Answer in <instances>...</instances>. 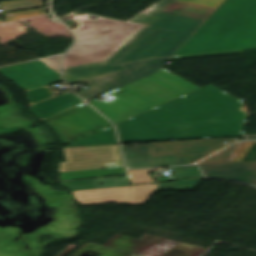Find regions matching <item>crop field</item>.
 <instances>
[{
  "instance_id": "28ad6ade",
  "label": "crop field",
  "mask_w": 256,
  "mask_h": 256,
  "mask_svg": "<svg viewBox=\"0 0 256 256\" xmlns=\"http://www.w3.org/2000/svg\"><path fill=\"white\" fill-rule=\"evenodd\" d=\"M157 185L108 188L73 192L82 205L122 203L145 204Z\"/></svg>"
},
{
  "instance_id": "ac0d7876",
  "label": "crop field",
  "mask_w": 256,
  "mask_h": 256,
  "mask_svg": "<svg viewBox=\"0 0 256 256\" xmlns=\"http://www.w3.org/2000/svg\"><path fill=\"white\" fill-rule=\"evenodd\" d=\"M251 48H256V0H226L174 54Z\"/></svg>"
},
{
  "instance_id": "730fd06b",
  "label": "crop field",
  "mask_w": 256,
  "mask_h": 256,
  "mask_svg": "<svg viewBox=\"0 0 256 256\" xmlns=\"http://www.w3.org/2000/svg\"><path fill=\"white\" fill-rule=\"evenodd\" d=\"M254 143H256V142H243V143H240L239 147L236 150L239 161H241V159L245 156V153L251 148V146Z\"/></svg>"
},
{
  "instance_id": "ae1a2a85",
  "label": "crop field",
  "mask_w": 256,
  "mask_h": 256,
  "mask_svg": "<svg viewBox=\"0 0 256 256\" xmlns=\"http://www.w3.org/2000/svg\"><path fill=\"white\" fill-rule=\"evenodd\" d=\"M199 177H202L198 167L196 166L195 169L191 172V174L188 176L187 179H190V178H199Z\"/></svg>"
},
{
  "instance_id": "a9b5d70f",
  "label": "crop field",
  "mask_w": 256,
  "mask_h": 256,
  "mask_svg": "<svg viewBox=\"0 0 256 256\" xmlns=\"http://www.w3.org/2000/svg\"><path fill=\"white\" fill-rule=\"evenodd\" d=\"M42 14H45V9L36 10V11H27V12L5 14L4 19H5L6 22H8V21H13V20L33 17V16H37V15H42Z\"/></svg>"
},
{
  "instance_id": "5a996713",
  "label": "crop field",
  "mask_w": 256,
  "mask_h": 256,
  "mask_svg": "<svg viewBox=\"0 0 256 256\" xmlns=\"http://www.w3.org/2000/svg\"><path fill=\"white\" fill-rule=\"evenodd\" d=\"M167 59L168 58H161L124 64L123 66L126 70L116 72V74L113 76L106 77L107 75H105L102 77L83 81L88 83L90 88L84 92L78 93V95L86 101L95 98L129 82H132L142 76L156 72Z\"/></svg>"
},
{
  "instance_id": "d1516ede",
  "label": "crop field",
  "mask_w": 256,
  "mask_h": 256,
  "mask_svg": "<svg viewBox=\"0 0 256 256\" xmlns=\"http://www.w3.org/2000/svg\"><path fill=\"white\" fill-rule=\"evenodd\" d=\"M0 73L26 91L62 81L59 73L51 70L43 61L0 68Z\"/></svg>"
},
{
  "instance_id": "412701ff",
  "label": "crop field",
  "mask_w": 256,
  "mask_h": 256,
  "mask_svg": "<svg viewBox=\"0 0 256 256\" xmlns=\"http://www.w3.org/2000/svg\"><path fill=\"white\" fill-rule=\"evenodd\" d=\"M198 89L161 68L152 76L106 94L116 100L110 103L95 100L90 104L117 124Z\"/></svg>"
},
{
  "instance_id": "3316defc",
  "label": "crop field",
  "mask_w": 256,
  "mask_h": 256,
  "mask_svg": "<svg viewBox=\"0 0 256 256\" xmlns=\"http://www.w3.org/2000/svg\"><path fill=\"white\" fill-rule=\"evenodd\" d=\"M228 141V144H224ZM235 142L228 139H206L149 143L152 156L176 154L179 164L197 162Z\"/></svg>"
},
{
  "instance_id": "5142ce71",
  "label": "crop field",
  "mask_w": 256,
  "mask_h": 256,
  "mask_svg": "<svg viewBox=\"0 0 256 256\" xmlns=\"http://www.w3.org/2000/svg\"><path fill=\"white\" fill-rule=\"evenodd\" d=\"M163 11L206 20L214 10L173 1L170 5L165 7Z\"/></svg>"
},
{
  "instance_id": "733c2abd",
  "label": "crop field",
  "mask_w": 256,
  "mask_h": 256,
  "mask_svg": "<svg viewBox=\"0 0 256 256\" xmlns=\"http://www.w3.org/2000/svg\"><path fill=\"white\" fill-rule=\"evenodd\" d=\"M117 143L112 126L65 147Z\"/></svg>"
},
{
  "instance_id": "dd49c442",
  "label": "crop field",
  "mask_w": 256,
  "mask_h": 256,
  "mask_svg": "<svg viewBox=\"0 0 256 256\" xmlns=\"http://www.w3.org/2000/svg\"><path fill=\"white\" fill-rule=\"evenodd\" d=\"M43 122L57 131L63 145L111 126L87 104L64 111Z\"/></svg>"
},
{
  "instance_id": "d3111659",
  "label": "crop field",
  "mask_w": 256,
  "mask_h": 256,
  "mask_svg": "<svg viewBox=\"0 0 256 256\" xmlns=\"http://www.w3.org/2000/svg\"><path fill=\"white\" fill-rule=\"evenodd\" d=\"M0 23H2L1 20H0Z\"/></svg>"
},
{
  "instance_id": "cbeb9de0",
  "label": "crop field",
  "mask_w": 256,
  "mask_h": 256,
  "mask_svg": "<svg viewBox=\"0 0 256 256\" xmlns=\"http://www.w3.org/2000/svg\"><path fill=\"white\" fill-rule=\"evenodd\" d=\"M82 103L84 102L75 95L71 93H64L63 95L39 102L31 105L30 107L32 113L39 119L43 120Z\"/></svg>"
},
{
  "instance_id": "214f88e0",
  "label": "crop field",
  "mask_w": 256,
  "mask_h": 256,
  "mask_svg": "<svg viewBox=\"0 0 256 256\" xmlns=\"http://www.w3.org/2000/svg\"><path fill=\"white\" fill-rule=\"evenodd\" d=\"M202 179L198 180H190V181H182V182H174V183H163L159 184L155 191L159 190H167V189H196Z\"/></svg>"
},
{
  "instance_id": "22f410ed",
  "label": "crop field",
  "mask_w": 256,
  "mask_h": 256,
  "mask_svg": "<svg viewBox=\"0 0 256 256\" xmlns=\"http://www.w3.org/2000/svg\"><path fill=\"white\" fill-rule=\"evenodd\" d=\"M171 0H163L147 15L139 14L130 22L145 24L175 32L193 34L204 20L162 12Z\"/></svg>"
},
{
  "instance_id": "92a150f3",
  "label": "crop field",
  "mask_w": 256,
  "mask_h": 256,
  "mask_svg": "<svg viewBox=\"0 0 256 256\" xmlns=\"http://www.w3.org/2000/svg\"><path fill=\"white\" fill-rule=\"evenodd\" d=\"M123 146L126 159L150 157L148 145H141L137 148H125Z\"/></svg>"
},
{
  "instance_id": "4177f3b9",
  "label": "crop field",
  "mask_w": 256,
  "mask_h": 256,
  "mask_svg": "<svg viewBox=\"0 0 256 256\" xmlns=\"http://www.w3.org/2000/svg\"><path fill=\"white\" fill-rule=\"evenodd\" d=\"M176 1H181V2H185V3H190V4H195V5H199V6L216 9L218 4L222 0H176Z\"/></svg>"
},
{
  "instance_id": "bc2a9ffb",
  "label": "crop field",
  "mask_w": 256,
  "mask_h": 256,
  "mask_svg": "<svg viewBox=\"0 0 256 256\" xmlns=\"http://www.w3.org/2000/svg\"><path fill=\"white\" fill-rule=\"evenodd\" d=\"M44 7L42 0H17L0 3V8L4 12L41 8Z\"/></svg>"
},
{
  "instance_id": "d8731c3e",
  "label": "crop field",
  "mask_w": 256,
  "mask_h": 256,
  "mask_svg": "<svg viewBox=\"0 0 256 256\" xmlns=\"http://www.w3.org/2000/svg\"><path fill=\"white\" fill-rule=\"evenodd\" d=\"M62 150L67 162L60 164V173L123 166L117 145Z\"/></svg>"
},
{
  "instance_id": "00972430",
  "label": "crop field",
  "mask_w": 256,
  "mask_h": 256,
  "mask_svg": "<svg viewBox=\"0 0 256 256\" xmlns=\"http://www.w3.org/2000/svg\"><path fill=\"white\" fill-rule=\"evenodd\" d=\"M194 167H171L173 178L160 177L159 182L186 179Z\"/></svg>"
},
{
  "instance_id": "dafd665d",
  "label": "crop field",
  "mask_w": 256,
  "mask_h": 256,
  "mask_svg": "<svg viewBox=\"0 0 256 256\" xmlns=\"http://www.w3.org/2000/svg\"><path fill=\"white\" fill-rule=\"evenodd\" d=\"M151 171H155V170L150 169V170L128 171L132 181V185L153 182V179H151L147 174V172H151Z\"/></svg>"
},
{
  "instance_id": "4a817a6b",
  "label": "crop field",
  "mask_w": 256,
  "mask_h": 256,
  "mask_svg": "<svg viewBox=\"0 0 256 256\" xmlns=\"http://www.w3.org/2000/svg\"><path fill=\"white\" fill-rule=\"evenodd\" d=\"M129 168L179 165L175 155L126 160Z\"/></svg>"
},
{
  "instance_id": "e52e79f7",
  "label": "crop field",
  "mask_w": 256,
  "mask_h": 256,
  "mask_svg": "<svg viewBox=\"0 0 256 256\" xmlns=\"http://www.w3.org/2000/svg\"><path fill=\"white\" fill-rule=\"evenodd\" d=\"M235 144L199 163L207 178L246 182L256 185V161L238 162Z\"/></svg>"
},
{
  "instance_id": "d9b57169",
  "label": "crop field",
  "mask_w": 256,
  "mask_h": 256,
  "mask_svg": "<svg viewBox=\"0 0 256 256\" xmlns=\"http://www.w3.org/2000/svg\"><path fill=\"white\" fill-rule=\"evenodd\" d=\"M126 174L123 167L112 168L106 170H90V171H81L73 173H64L59 174L60 181L71 180V179H86V178H97V177H106L113 175Z\"/></svg>"
},
{
  "instance_id": "8a807250",
  "label": "crop field",
  "mask_w": 256,
  "mask_h": 256,
  "mask_svg": "<svg viewBox=\"0 0 256 256\" xmlns=\"http://www.w3.org/2000/svg\"><path fill=\"white\" fill-rule=\"evenodd\" d=\"M248 113L234 97L207 86L117 124L122 143L241 137Z\"/></svg>"
},
{
  "instance_id": "34b2d1b8",
  "label": "crop field",
  "mask_w": 256,
  "mask_h": 256,
  "mask_svg": "<svg viewBox=\"0 0 256 256\" xmlns=\"http://www.w3.org/2000/svg\"><path fill=\"white\" fill-rule=\"evenodd\" d=\"M189 36L142 25L105 60L63 68V73L70 84L124 70L121 63L171 56Z\"/></svg>"
},
{
  "instance_id": "f4fd0767",
  "label": "crop field",
  "mask_w": 256,
  "mask_h": 256,
  "mask_svg": "<svg viewBox=\"0 0 256 256\" xmlns=\"http://www.w3.org/2000/svg\"><path fill=\"white\" fill-rule=\"evenodd\" d=\"M139 25L98 20H84L74 33L78 40L65 57L63 67L99 61L114 51Z\"/></svg>"
},
{
  "instance_id": "eef30255",
  "label": "crop field",
  "mask_w": 256,
  "mask_h": 256,
  "mask_svg": "<svg viewBox=\"0 0 256 256\" xmlns=\"http://www.w3.org/2000/svg\"><path fill=\"white\" fill-rule=\"evenodd\" d=\"M60 57H55V58H51V59H47V60H43L51 69L59 72V66H58V62L60 60Z\"/></svg>"
}]
</instances>
